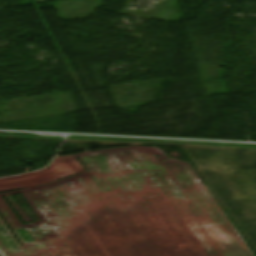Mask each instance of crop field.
Masks as SVG:
<instances>
[{
    "instance_id": "1",
    "label": "crop field",
    "mask_w": 256,
    "mask_h": 256,
    "mask_svg": "<svg viewBox=\"0 0 256 256\" xmlns=\"http://www.w3.org/2000/svg\"><path fill=\"white\" fill-rule=\"evenodd\" d=\"M45 0H35V2H44Z\"/></svg>"
}]
</instances>
